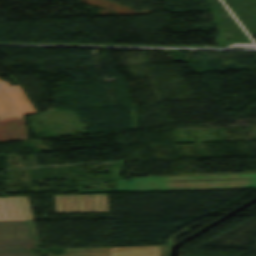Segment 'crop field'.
<instances>
[{"instance_id": "8a807250", "label": "crop field", "mask_w": 256, "mask_h": 256, "mask_svg": "<svg viewBox=\"0 0 256 256\" xmlns=\"http://www.w3.org/2000/svg\"><path fill=\"white\" fill-rule=\"evenodd\" d=\"M36 111L19 85L0 81V141L27 139L22 115Z\"/></svg>"}, {"instance_id": "ac0d7876", "label": "crop field", "mask_w": 256, "mask_h": 256, "mask_svg": "<svg viewBox=\"0 0 256 256\" xmlns=\"http://www.w3.org/2000/svg\"><path fill=\"white\" fill-rule=\"evenodd\" d=\"M38 238L33 220L0 221V256H36Z\"/></svg>"}, {"instance_id": "34b2d1b8", "label": "crop field", "mask_w": 256, "mask_h": 256, "mask_svg": "<svg viewBox=\"0 0 256 256\" xmlns=\"http://www.w3.org/2000/svg\"><path fill=\"white\" fill-rule=\"evenodd\" d=\"M55 212H107V194L54 196Z\"/></svg>"}, {"instance_id": "412701ff", "label": "crop field", "mask_w": 256, "mask_h": 256, "mask_svg": "<svg viewBox=\"0 0 256 256\" xmlns=\"http://www.w3.org/2000/svg\"><path fill=\"white\" fill-rule=\"evenodd\" d=\"M165 246L66 249L60 256H164Z\"/></svg>"}, {"instance_id": "f4fd0767", "label": "crop field", "mask_w": 256, "mask_h": 256, "mask_svg": "<svg viewBox=\"0 0 256 256\" xmlns=\"http://www.w3.org/2000/svg\"><path fill=\"white\" fill-rule=\"evenodd\" d=\"M33 219L27 197L0 198V220Z\"/></svg>"}]
</instances>
